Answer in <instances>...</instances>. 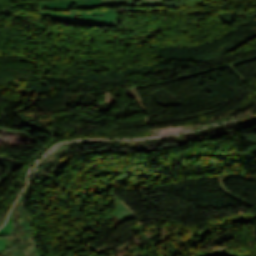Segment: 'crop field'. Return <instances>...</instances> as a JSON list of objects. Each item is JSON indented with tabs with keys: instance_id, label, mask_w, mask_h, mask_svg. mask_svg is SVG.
<instances>
[{
	"instance_id": "crop-field-1",
	"label": "crop field",
	"mask_w": 256,
	"mask_h": 256,
	"mask_svg": "<svg viewBox=\"0 0 256 256\" xmlns=\"http://www.w3.org/2000/svg\"><path fill=\"white\" fill-rule=\"evenodd\" d=\"M101 5H149L147 0H59L40 3L37 10L43 15L55 20L73 22L93 26L117 27L120 10L108 9L100 12L70 13L68 10L74 8H94Z\"/></svg>"
},
{
	"instance_id": "crop-field-2",
	"label": "crop field",
	"mask_w": 256,
	"mask_h": 256,
	"mask_svg": "<svg viewBox=\"0 0 256 256\" xmlns=\"http://www.w3.org/2000/svg\"><path fill=\"white\" fill-rule=\"evenodd\" d=\"M15 219L10 215L6 225L0 229V252L19 245L11 232Z\"/></svg>"
}]
</instances>
